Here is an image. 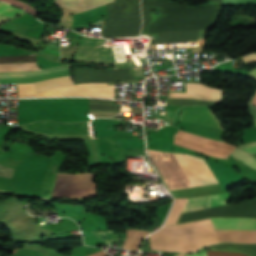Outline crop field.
I'll use <instances>...</instances> for the list:
<instances>
[{
    "label": "crop field",
    "mask_w": 256,
    "mask_h": 256,
    "mask_svg": "<svg viewBox=\"0 0 256 256\" xmlns=\"http://www.w3.org/2000/svg\"><path fill=\"white\" fill-rule=\"evenodd\" d=\"M150 8H157L160 17L152 23ZM221 5L214 4L195 8H185L164 0H143L142 16L144 34L210 29L214 24Z\"/></svg>",
    "instance_id": "1"
},
{
    "label": "crop field",
    "mask_w": 256,
    "mask_h": 256,
    "mask_svg": "<svg viewBox=\"0 0 256 256\" xmlns=\"http://www.w3.org/2000/svg\"><path fill=\"white\" fill-rule=\"evenodd\" d=\"M149 240L151 249L182 253L219 243L210 219L162 228Z\"/></svg>",
    "instance_id": "2"
},
{
    "label": "crop field",
    "mask_w": 256,
    "mask_h": 256,
    "mask_svg": "<svg viewBox=\"0 0 256 256\" xmlns=\"http://www.w3.org/2000/svg\"><path fill=\"white\" fill-rule=\"evenodd\" d=\"M173 155L193 186L217 183L210 169L224 191L228 185L242 179L230 169L216 162L205 160L210 167L209 169L204 159L179 153H173Z\"/></svg>",
    "instance_id": "3"
},
{
    "label": "crop field",
    "mask_w": 256,
    "mask_h": 256,
    "mask_svg": "<svg viewBox=\"0 0 256 256\" xmlns=\"http://www.w3.org/2000/svg\"><path fill=\"white\" fill-rule=\"evenodd\" d=\"M25 62H36V56H5L0 57V63H25ZM69 69V65L56 66L52 68H47L43 70H39L36 67V63H25V64H0V73L6 72H26L33 71L27 73H6L0 74V78H14V77H33L43 74H48L52 72L62 71ZM35 87V91L40 92L52 88L72 85L71 75L54 78L50 80L40 81L33 83Z\"/></svg>",
    "instance_id": "4"
},
{
    "label": "crop field",
    "mask_w": 256,
    "mask_h": 256,
    "mask_svg": "<svg viewBox=\"0 0 256 256\" xmlns=\"http://www.w3.org/2000/svg\"><path fill=\"white\" fill-rule=\"evenodd\" d=\"M19 97L37 96H97L114 98V86H107L103 83L80 84L64 88L52 89L35 94L32 83L17 84Z\"/></svg>",
    "instance_id": "5"
},
{
    "label": "crop field",
    "mask_w": 256,
    "mask_h": 256,
    "mask_svg": "<svg viewBox=\"0 0 256 256\" xmlns=\"http://www.w3.org/2000/svg\"><path fill=\"white\" fill-rule=\"evenodd\" d=\"M215 229H256V219L211 218ZM220 242L256 243V230H215Z\"/></svg>",
    "instance_id": "6"
},
{
    "label": "crop field",
    "mask_w": 256,
    "mask_h": 256,
    "mask_svg": "<svg viewBox=\"0 0 256 256\" xmlns=\"http://www.w3.org/2000/svg\"><path fill=\"white\" fill-rule=\"evenodd\" d=\"M207 217H254L256 218V199L214 207L201 211L183 213L177 224Z\"/></svg>",
    "instance_id": "7"
},
{
    "label": "crop field",
    "mask_w": 256,
    "mask_h": 256,
    "mask_svg": "<svg viewBox=\"0 0 256 256\" xmlns=\"http://www.w3.org/2000/svg\"><path fill=\"white\" fill-rule=\"evenodd\" d=\"M76 84L87 82H116L135 80L132 68L115 71H98L94 69L75 68Z\"/></svg>",
    "instance_id": "8"
},
{
    "label": "crop field",
    "mask_w": 256,
    "mask_h": 256,
    "mask_svg": "<svg viewBox=\"0 0 256 256\" xmlns=\"http://www.w3.org/2000/svg\"><path fill=\"white\" fill-rule=\"evenodd\" d=\"M180 119L223 129L220 120L214 116L209 109H184L180 115Z\"/></svg>",
    "instance_id": "9"
},
{
    "label": "crop field",
    "mask_w": 256,
    "mask_h": 256,
    "mask_svg": "<svg viewBox=\"0 0 256 256\" xmlns=\"http://www.w3.org/2000/svg\"><path fill=\"white\" fill-rule=\"evenodd\" d=\"M186 88H187V92L203 93V94L214 95L219 97H221V93H222L221 90L209 88L204 85L195 84V83H186ZM194 93H169L168 97L220 100L219 97L208 96L203 94H194Z\"/></svg>",
    "instance_id": "10"
},
{
    "label": "crop field",
    "mask_w": 256,
    "mask_h": 256,
    "mask_svg": "<svg viewBox=\"0 0 256 256\" xmlns=\"http://www.w3.org/2000/svg\"><path fill=\"white\" fill-rule=\"evenodd\" d=\"M64 5H66L71 10H77V11H86L94 7H98L101 5L108 4L112 2L113 0H59ZM58 0H54V4L68 9L66 6H64L62 3H60Z\"/></svg>",
    "instance_id": "11"
},
{
    "label": "crop field",
    "mask_w": 256,
    "mask_h": 256,
    "mask_svg": "<svg viewBox=\"0 0 256 256\" xmlns=\"http://www.w3.org/2000/svg\"><path fill=\"white\" fill-rule=\"evenodd\" d=\"M174 143L180 146H183L207 155L216 156V157L226 158L230 154V152L208 147V146L198 144V143H195L186 139H182L176 136H174Z\"/></svg>",
    "instance_id": "12"
},
{
    "label": "crop field",
    "mask_w": 256,
    "mask_h": 256,
    "mask_svg": "<svg viewBox=\"0 0 256 256\" xmlns=\"http://www.w3.org/2000/svg\"><path fill=\"white\" fill-rule=\"evenodd\" d=\"M209 249L217 250H228V251H238L248 253L251 256H256V245H242V244H217L212 246H207Z\"/></svg>",
    "instance_id": "13"
},
{
    "label": "crop field",
    "mask_w": 256,
    "mask_h": 256,
    "mask_svg": "<svg viewBox=\"0 0 256 256\" xmlns=\"http://www.w3.org/2000/svg\"><path fill=\"white\" fill-rule=\"evenodd\" d=\"M199 32H189V33H173V34H162L156 35L157 39H152L150 44L187 39V41L196 40Z\"/></svg>",
    "instance_id": "14"
},
{
    "label": "crop field",
    "mask_w": 256,
    "mask_h": 256,
    "mask_svg": "<svg viewBox=\"0 0 256 256\" xmlns=\"http://www.w3.org/2000/svg\"><path fill=\"white\" fill-rule=\"evenodd\" d=\"M147 234L145 231H127V238L122 249L137 250L139 244Z\"/></svg>",
    "instance_id": "15"
},
{
    "label": "crop field",
    "mask_w": 256,
    "mask_h": 256,
    "mask_svg": "<svg viewBox=\"0 0 256 256\" xmlns=\"http://www.w3.org/2000/svg\"><path fill=\"white\" fill-rule=\"evenodd\" d=\"M210 197H211V195L188 199V201H187V203H186L182 212L194 211V210H200V209H203V208H208Z\"/></svg>",
    "instance_id": "16"
},
{
    "label": "crop field",
    "mask_w": 256,
    "mask_h": 256,
    "mask_svg": "<svg viewBox=\"0 0 256 256\" xmlns=\"http://www.w3.org/2000/svg\"><path fill=\"white\" fill-rule=\"evenodd\" d=\"M186 200L187 199H175L174 207L165 225H174L177 223L179 215L184 207Z\"/></svg>",
    "instance_id": "17"
},
{
    "label": "crop field",
    "mask_w": 256,
    "mask_h": 256,
    "mask_svg": "<svg viewBox=\"0 0 256 256\" xmlns=\"http://www.w3.org/2000/svg\"><path fill=\"white\" fill-rule=\"evenodd\" d=\"M230 155H232L237 160H239L253 168H256V158L253 157L252 155L244 152L243 150L236 147Z\"/></svg>",
    "instance_id": "18"
},
{
    "label": "crop field",
    "mask_w": 256,
    "mask_h": 256,
    "mask_svg": "<svg viewBox=\"0 0 256 256\" xmlns=\"http://www.w3.org/2000/svg\"><path fill=\"white\" fill-rule=\"evenodd\" d=\"M0 13L9 18H12V17L22 14L23 11L17 9L16 7L0 3ZM1 14H0V23L9 19Z\"/></svg>",
    "instance_id": "19"
},
{
    "label": "crop field",
    "mask_w": 256,
    "mask_h": 256,
    "mask_svg": "<svg viewBox=\"0 0 256 256\" xmlns=\"http://www.w3.org/2000/svg\"><path fill=\"white\" fill-rule=\"evenodd\" d=\"M121 149H136L144 146V140H115Z\"/></svg>",
    "instance_id": "20"
},
{
    "label": "crop field",
    "mask_w": 256,
    "mask_h": 256,
    "mask_svg": "<svg viewBox=\"0 0 256 256\" xmlns=\"http://www.w3.org/2000/svg\"><path fill=\"white\" fill-rule=\"evenodd\" d=\"M207 256H247L240 253H234V252H219V251H206ZM185 256H206L205 252L198 253V254H188Z\"/></svg>",
    "instance_id": "21"
},
{
    "label": "crop field",
    "mask_w": 256,
    "mask_h": 256,
    "mask_svg": "<svg viewBox=\"0 0 256 256\" xmlns=\"http://www.w3.org/2000/svg\"><path fill=\"white\" fill-rule=\"evenodd\" d=\"M229 197H231V195L227 192L212 195L210 207L224 205Z\"/></svg>",
    "instance_id": "22"
},
{
    "label": "crop field",
    "mask_w": 256,
    "mask_h": 256,
    "mask_svg": "<svg viewBox=\"0 0 256 256\" xmlns=\"http://www.w3.org/2000/svg\"><path fill=\"white\" fill-rule=\"evenodd\" d=\"M91 232L94 233L95 235H97L98 237H100L101 239H103L104 241L109 242V243L119 240V238L116 237L110 231H91Z\"/></svg>",
    "instance_id": "23"
},
{
    "label": "crop field",
    "mask_w": 256,
    "mask_h": 256,
    "mask_svg": "<svg viewBox=\"0 0 256 256\" xmlns=\"http://www.w3.org/2000/svg\"><path fill=\"white\" fill-rule=\"evenodd\" d=\"M241 148H243L244 150L248 151L251 154H255L256 153V142L253 143H246L244 145L239 146Z\"/></svg>",
    "instance_id": "24"
},
{
    "label": "crop field",
    "mask_w": 256,
    "mask_h": 256,
    "mask_svg": "<svg viewBox=\"0 0 256 256\" xmlns=\"http://www.w3.org/2000/svg\"><path fill=\"white\" fill-rule=\"evenodd\" d=\"M243 60L245 62H254V61H256V53L243 57Z\"/></svg>",
    "instance_id": "25"
},
{
    "label": "crop field",
    "mask_w": 256,
    "mask_h": 256,
    "mask_svg": "<svg viewBox=\"0 0 256 256\" xmlns=\"http://www.w3.org/2000/svg\"><path fill=\"white\" fill-rule=\"evenodd\" d=\"M89 256H110V255H107L103 250H101V251L91 254Z\"/></svg>",
    "instance_id": "26"
},
{
    "label": "crop field",
    "mask_w": 256,
    "mask_h": 256,
    "mask_svg": "<svg viewBox=\"0 0 256 256\" xmlns=\"http://www.w3.org/2000/svg\"><path fill=\"white\" fill-rule=\"evenodd\" d=\"M248 76L256 78V69H253Z\"/></svg>",
    "instance_id": "27"
},
{
    "label": "crop field",
    "mask_w": 256,
    "mask_h": 256,
    "mask_svg": "<svg viewBox=\"0 0 256 256\" xmlns=\"http://www.w3.org/2000/svg\"><path fill=\"white\" fill-rule=\"evenodd\" d=\"M213 2H217V3H221L222 4V1L221 0H211Z\"/></svg>",
    "instance_id": "28"
},
{
    "label": "crop field",
    "mask_w": 256,
    "mask_h": 256,
    "mask_svg": "<svg viewBox=\"0 0 256 256\" xmlns=\"http://www.w3.org/2000/svg\"><path fill=\"white\" fill-rule=\"evenodd\" d=\"M253 104H256V97H255V99H254V101H253Z\"/></svg>",
    "instance_id": "29"
},
{
    "label": "crop field",
    "mask_w": 256,
    "mask_h": 256,
    "mask_svg": "<svg viewBox=\"0 0 256 256\" xmlns=\"http://www.w3.org/2000/svg\"><path fill=\"white\" fill-rule=\"evenodd\" d=\"M180 256H184V255H180Z\"/></svg>",
    "instance_id": "30"
}]
</instances>
